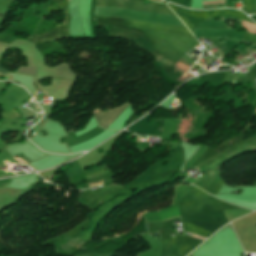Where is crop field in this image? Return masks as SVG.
<instances>
[{
    "mask_svg": "<svg viewBox=\"0 0 256 256\" xmlns=\"http://www.w3.org/2000/svg\"><path fill=\"white\" fill-rule=\"evenodd\" d=\"M127 106L128 104L125 103L123 106L105 113L96 110L95 116L99 122V126L107 128Z\"/></svg>",
    "mask_w": 256,
    "mask_h": 256,
    "instance_id": "obj_2",
    "label": "crop field"
},
{
    "mask_svg": "<svg viewBox=\"0 0 256 256\" xmlns=\"http://www.w3.org/2000/svg\"><path fill=\"white\" fill-rule=\"evenodd\" d=\"M102 131H104V129H101L100 127H96L95 129L77 137L76 139H72V136H67L66 138V143L68 145V147L75 145L77 143L89 140L91 138H93L94 136H96L97 134L101 133Z\"/></svg>",
    "mask_w": 256,
    "mask_h": 256,
    "instance_id": "obj_3",
    "label": "crop field"
},
{
    "mask_svg": "<svg viewBox=\"0 0 256 256\" xmlns=\"http://www.w3.org/2000/svg\"><path fill=\"white\" fill-rule=\"evenodd\" d=\"M105 182H110V180H109V179H107V180H105Z\"/></svg>",
    "mask_w": 256,
    "mask_h": 256,
    "instance_id": "obj_11",
    "label": "crop field"
},
{
    "mask_svg": "<svg viewBox=\"0 0 256 256\" xmlns=\"http://www.w3.org/2000/svg\"><path fill=\"white\" fill-rule=\"evenodd\" d=\"M7 72H8L7 70H5V69H3V68L0 67V74L4 75V74H6Z\"/></svg>",
    "mask_w": 256,
    "mask_h": 256,
    "instance_id": "obj_8",
    "label": "crop field"
},
{
    "mask_svg": "<svg viewBox=\"0 0 256 256\" xmlns=\"http://www.w3.org/2000/svg\"><path fill=\"white\" fill-rule=\"evenodd\" d=\"M11 182V178L0 180V187H3Z\"/></svg>",
    "mask_w": 256,
    "mask_h": 256,
    "instance_id": "obj_7",
    "label": "crop field"
},
{
    "mask_svg": "<svg viewBox=\"0 0 256 256\" xmlns=\"http://www.w3.org/2000/svg\"><path fill=\"white\" fill-rule=\"evenodd\" d=\"M183 57H184L185 59L189 60L191 63L196 62L194 59L190 58V57L187 56L186 54L183 55ZM183 57H180V59H179L178 61L181 62V63H183V64H185V65H187V66H189V67H191L192 64H191L190 62L186 61ZM179 62H177V65H178V66L182 67L183 69H185V70H187V71L189 70V67H187V66H185V65H183V64H181V63H179ZM178 66L175 65L174 68H176L177 70H179V71H180L181 73H183V74L187 72V71L181 69V68L178 67Z\"/></svg>",
    "mask_w": 256,
    "mask_h": 256,
    "instance_id": "obj_5",
    "label": "crop field"
},
{
    "mask_svg": "<svg viewBox=\"0 0 256 256\" xmlns=\"http://www.w3.org/2000/svg\"><path fill=\"white\" fill-rule=\"evenodd\" d=\"M95 15L185 27L184 24L176 16H172V15L148 13V12L109 8V7H99V6H95Z\"/></svg>",
    "mask_w": 256,
    "mask_h": 256,
    "instance_id": "obj_1",
    "label": "crop field"
},
{
    "mask_svg": "<svg viewBox=\"0 0 256 256\" xmlns=\"http://www.w3.org/2000/svg\"><path fill=\"white\" fill-rule=\"evenodd\" d=\"M103 182V180L102 181H98V182H94V183H90L89 185H93V184H98V183H102ZM103 184V183H102ZM99 185V184H98ZM93 186H95V185H93ZM90 187H92V186H90Z\"/></svg>",
    "mask_w": 256,
    "mask_h": 256,
    "instance_id": "obj_10",
    "label": "crop field"
},
{
    "mask_svg": "<svg viewBox=\"0 0 256 256\" xmlns=\"http://www.w3.org/2000/svg\"><path fill=\"white\" fill-rule=\"evenodd\" d=\"M155 214H159L162 221L173 218V217L180 216L179 212H178V209H177V205L173 206V207H170L168 209L162 210L159 213L153 212V213L145 214L144 216L155 215Z\"/></svg>",
    "mask_w": 256,
    "mask_h": 256,
    "instance_id": "obj_4",
    "label": "crop field"
},
{
    "mask_svg": "<svg viewBox=\"0 0 256 256\" xmlns=\"http://www.w3.org/2000/svg\"><path fill=\"white\" fill-rule=\"evenodd\" d=\"M224 212L226 214L227 220H232V219H236L242 215H245L251 211L246 210V209H235V210H227Z\"/></svg>",
    "mask_w": 256,
    "mask_h": 256,
    "instance_id": "obj_6",
    "label": "crop field"
},
{
    "mask_svg": "<svg viewBox=\"0 0 256 256\" xmlns=\"http://www.w3.org/2000/svg\"><path fill=\"white\" fill-rule=\"evenodd\" d=\"M15 160H17V161H19V162H24V163H26V164H29V163H27V162H25V161H23V160H21V159H19V158H16V157H13Z\"/></svg>",
    "mask_w": 256,
    "mask_h": 256,
    "instance_id": "obj_9",
    "label": "crop field"
}]
</instances>
